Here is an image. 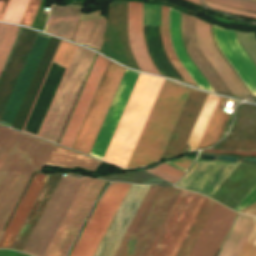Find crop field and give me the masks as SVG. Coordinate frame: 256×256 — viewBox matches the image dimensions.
<instances>
[{
  "instance_id": "obj_1",
  "label": "crop field",
  "mask_w": 256,
  "mask_h": 256,
  "mask_svg": "<svg viewBox=\"0 0 256 256\" xmlns=\"http://www.w3.org/2000/svg\"><path fill=\"white\" fill-rule=\"evenodd\" d=\"M54 145L0 126V235L35 170Z\"/></svg>"
},
{
  "instance_id": "obj_2",
  "label": "crop field",
  "mask_w": 256,
  "mask_h": 256,
  "mask_svg": "<svg viewBox=\"0 0 256 256\" xmlns=\"http://www.w3.org/2000/svg\"><path fill=\"white\" fill-rule=\"evenodd\" d=\"M189 91L164 82L126 168L147 166L160 159Z\"/></svg>"
},
{
  "instance_id": "obj_3",
  "label": "crop field",
  "mask_w": 256,
  "mask_h": 256,
  "mask_svg": "<svg viewBox=\"0 0 256 256\" xmlns=\"http://www.w3.org/2000/svg\"><path fill=\"white\" fill-rule=\"evenodd\" d=\"M164 79L140 74L102 160L126 167Z\"/></svg>"
},
{
  "instance_id": "obj_4",
  "label": "crop field",
  "mask_w": 256,
  "mask_h": 256,
  "mask_svg": "<svg viewBox=\"0 0 256 256\" xmlns=\"http://www.w3.org/2000/svg\"><path fill=\"white\" fill-rule=\"evenodd\" d=\"M180 192L150 186L114 256H146Z\"/></svg>"
},
{
  "instance_id": "obj_5",
  "label": "crop field",
  "mask_w": 256,
  "mask_h": 256,
  "mask_svg": "<svg viewBox=\"0 0 256 256\" xmlns=\"http://www.w3.org/2000/svg\"><path fill=\"white\" fill-rule=\"evenodd\" d=\"M94 55L77 47L39 138L57 142Z\"/></svg>"
},
{
  "instance_id": "obj_6",
  "label": "crop field",
  "mask_w": 256,
  "mask_h": 256,
  "mask_svg": "<svg viewBox=\"0 0 256 256\" xmlns=\"http://www.w3.org/2000/svg\"><path fill=\"white\" fill-rule=\"evenodd\" d=\"M204 200L182 190L147 256H175Z\"/></svg>"
},
{
  "instance_id": "obj_7",
  "label": "crop field",
  "mask_w": 256,
  "mask_h": 256,
  "mask_svg": "<svg viewBox=\"0 0 256 256\" xmlns=\"http://www.w3.org/2000/svg\"><path fill=\"white\" fill-rule=\"evenodd\" d=\"M125 70L109 62L73 149L89 154Z\"/></svg>"
},
{
  "instance_id": "obj_8",
  "label": "crop field",
  "mask_w": 256,
  "mask_h": 256,
  "mask_svg": "<svg viewBox=\"0 0 256 256\" xmlns=\"http://www.w3.org/2000/svg\"><path fill=\"white\" fill-rule=\"evenodd\" d=\"M104 182L84 179L44 256H65Z\"/></svg>"
},
{
  "instance_id": "obj_9",
  "label": "crop field",
  "mask_w": 256,
  "mask_h": 256,
  "mask_svg": "<svg viewBox=\"0 0 256 256\" xmlns=\"http://www.w3.org/2000/svg\"><path fill=\"white\" fill-rule=\"evenodd\" d=\"M130 185L113 183L100 198L70 256H93Z\"/></svg>"
},
{
  "instance_id": "obj_10",
  "label": "crop field",
  "mask_w": 256,
  "mask_h": 256,
  "mask_svg": "<svg viewBox=\"0 0 256 256\" xmlns=\"http://www.w3.org/2000/svg\"><path fill=\"white\" fill-rule=\"evenodd\" d=\"M238 164L197 160L192 170L177 185L178 187L211 196L222 185ZM256 203V186L240 202L234 211H242Z\"/></svg>"
},
{
  "instance_id": "obj_11",
  "label": "crop field",
  "mask_w": 256,
  "mask_h": 256,
  "mask_svg": "<svg viewBox=\"0 0 256 256\" xmlns=\"http://www.w3.org/2000/svg\"><path fill=\"white\" fill-rule=\"evenodd\" d=\"M114 3L109 4L108 23L101 53L139 70L132 56L127 35V3Z\"/></svg>"
},
{
  "instance_id": "obj_12",
  "label": "crop field",
  "mask_w": 256,
  "mask_h": 256,
  "mask_svg": "<svg viewBox=\"0 0 256 256\" xmlns=\"http://www.w3.org/2000/svg\"><path fill=\"white\" fill-rule=\"evenodd\" d=\"M148 188L131 185L94 256H113Z\"/></svg>"
},
{
  "instance_id": "obj_13",
  "label": "crop field",
  "mask_w": 256,
  "mask_h": 256,
  "mask_svg": "<svg viewBox=\"0 0 256 256\" xmlns=\"http://www.w3.org/2000/svg\"><path fill=\"white\" fill-rule=\"evenodd\" d=\"M138 73L126 70L96 141L90 152V156L102 159L132 88L138 77Z\"/></svg>"
},
{
  "instance_id": "obj_14",
  "label": "crop field",
  "mask_w": 256,
  "mask_h": 256,
  "mask_svg": "<svg viewBox=\"0 0 256 256\" xmlns=\"http://www.w3.org/2000/svg\"><path fill=\"white\" fill-rule=\"evenodd\" d=\"M213 31L216 44L254 97H256V66L239 45L236 39L235 31L223 30L214 25Z\"/></svg>"
},
{
  "instance_id": "obj_15",
  "label": "crop field",
  "mask_w": 256,
  "mask_h": 256,
  "mask_svg": "<svg viewBox=\"0 0 256 256\" xmlns=\"http://www.w3.org/2000/svg\"><path fill=\"white\" fill-rule=\"evenodd\" d=\"M108 62V60L97 56L66 130L59 143L60 145L70 148L72 147Z\"/></svg>"
},
{
  "instance_id": "obj_16",
  "label": "crop field",
  "mask_w": 256,
  "mask_h": 256,
  "mask_svg": "<svg viewBox=\"0 0 256 256\" xmlns=\"http://www.w3.org/2000/svg\"><path fill=\"white\" fill-rule=\"evenodd\" d=\"M207 95L191 90L161 159L182 153Z\"/></svg>"
},
{
  "instance_id": "obj_17",
  "label": "crop field",
  "mask_w": 256,
  "mask_h": 256,
  "mask_svg": "<svg viewBox=\"0 0 256 256\" xmlns=\"http://www.w3.org/2000/svg\"><path fill=\"white\" fill-rule=\"evenodd\" d=\"M198 20L195 19V31L199 46L204 56L207 58L234 96H250L249 92L217 51L212 40L210 25Z\"/></svg>"
},
{
  "instance_id": "obj_18",
  "label": "crop field",
  "mask_w": 256,
  "mask_h": 256,
  "mask_svg": "<svg viewBox=\"0 0 256 256\" xmlns=\"http://www.w3.org/2000/svg\"><path fill=\"white\" fill-rule=\"evenodd\" d=\"M236 214L217 203L190 256H215Z\"/></svg>"
},
{
  "instance_id": "obj_19",
  "label": "crop field",
  "mask_w": 256,
  "mask_h": 256,
  "mask_svg": "<svg viewBox=\"0 0 256 256\" xmlns=\"http://www.w3.org/2000/svg\"><path fill=\"white\" fill-rule=\"evenodd\" d=\"M212 148L230 150H256V107L241 105L230 134Z\"/></svg>"
},
{
  "instance_id": "obj_20",
  "label": "crop field",
  "mask_w": 256,
  "mask_h": 256,
  "mask_svg": "<svg viewBox=\"0 0 256 256\" xmlns=\"http://www.w3.org/2000/svg\"><path fill=\"white\" fill-rule=\"evenodd\" d=\"M49 38L38 34L0 123L11 126Z\"/></svg>"
},
{
  "instance_id": "obj_21",
  "label": "crop field",
  "mask_w": 256,
  "mask_h": 256,
  "mask_svg": "<svg viewBox=\"0 0 256 256\" xmlns=\"http://www.w3.org/2000/svg\"><path fill=\"white\" fill-rule=\"evenodd\" d=\"M193 18L182 13V36L185 48L189 56L191 57V59L194 61V63L197 65V67L200 69V71L203 73V75L206 77V79L209 81V83L212 85L216 92L232 95V93L229 91V89L226 87V85L223 83V81L220 79V77L217 75V73L214 71V69L202 55L194 31Z\"/></svg>"
},
{
  "instance_id": "obj_22",
  "label": "crop field",
  "mask_w": 256,
  "mask_h": 256,
  "mask_svg": "<svg viewBox=\"0 0 256 256\" xmlns=\"http://www.w3.org/2000/svg\"><path fill=\"white\" fill-rule=\"evenodd\" d=\"M128 35L133 55L142 71L160 75L152 64L142 34V4L128 3Z\"/></svg>"
},
{
  "instance_id": "obj_23",
  "label": "crop field",
  "mask_w": 256,
  "mask_h": 256,
  "mask_svg": "<svg viewBox=\"0 0 256 256\" xmlns=\"http://www.w3.org/2000/svg\"><path fill=\"white\" fill-rule=\"evenodd\" d=\"M46 175L36 172L30 186L28 187L22 201L20 202L13 218L11 219L5 233L0 240V248H10L22 223L24 222L30 208L39 194ZM17 237V236H16Z\"/></svg>"
},
{
  "instance_id": "obj_24",
  "label": "crop field",
  "mask_w": 256,
  "mask_h": 256,
  "mask_svg": "<svg viewBox=\"0 0 256 256\" xmlns=\"http://www.w3.org/2000/svg\"><path fill=\"white\" fill-rule=\"evenodd\" d=\"M81 7L53 6L50 10L45 32L71 41L81 12Z\"/></svg>"
},
{
  "instance_id": "obj_25",
  "label": "crop field",
  "mask_w": 256,
  "mask_h": 256,
  "mask_svg": "<svg viewBox=\"0 0 256 256\" xmlns=\"http://www.w3.org/2000/svg\"><path fill=\"white\" fill-rule=\"evenodd\" d=\"M170 33L176 55L194 81L200 89L214 92L188 56L181 38L180 12L172 8H170Z\"/></svg>"
},
{
  "instance_id": "obj_26",
  "label": "crop field",
  "mask_w": 256,
  "mask_h": 256,
  "mask_svg": "<svg viewBox=\"0 0 256 256\" xmlns=\"http://www.w3.org/2000/svg\"><path fill=\"white\" fill-rule=\"evenodd\" d=\"M255 222L256 217L239 214L218 256H238Z\"/></svg>"
},
{
  "instance_id": "obj_27",
  "label": "crop field",
  "mask_w": 256,
  "mask_h": 256,
  "mask_svg": "<svg viewBox=\"0 0 256 256\" xmlns=\"http://www.w3.org/2000/svg\"><path fill=\"white\" fill-rule=\"evenodd\" d=\"M100 161L55 145L46 165L74 169L75 166L93 171Z\"/></svg>"
},
{
  "instance_id": "obj_28",
  "label": "crop field",
  "mask_w": 256,
  "mask_h": 256,
  "mask_svg": "<svg viewBox=\"0 0 256 256\" xmlns=\"http://www.w3.org/2000/svg\"><path fill=\"white\" fill-rule=\"evenodd\" d=\"M106 20H89L78 23L74 42L90 45L99 50Z\"/></svg>"
},
{
  "instance_id": "obj_29",
  "label": "crop field",
  "mask_w": 256,
  "mask_h": 256,
  "mask_svg": "<svg viewBox=\"0 0 256 256\" xmlns=\"http://www.w3.org/2000/svg\"><path fill=\"white\" fill-rule=\"evenodd\" d=\"M206 200H207V198H206ZM206 200H205V202H206ZM205 202H204V204H205ZM204 204H203V206H204ZM215 204H216V202H214V201L208 199L207 202H206V204H205V206H204V208H203V206H202L203 210H202V208H201L202 212H201V210H200L199 213H198V215L200 214V212H201V214L199 215V217H198V215H197L198 219H197V217H196L197 221H196V219H195L196 223H195V221H194L195 225H194V223H193L194 227H193V225H192L191 228H190V230L192 229V227H193V229L191 230V232H190V230H189L190 234H189V232H188L189 236H188V234H187L188 238H187V236H186L187 240H186V238L184 239L182 245L184 244L185 240H186V242H185V244H184L183 247H182V245H181L182 249H181V247H180L181 251H180V249H179L180 253H179V251H178L177 254H176V256L178 255V253H179L178 256H188V255H189V253H190V251L192 250V248H193V246H194V244H195V242H196V240H197L199 234L201 233V231H202V229H203V227H204V225H205L207 219L209 218V216H210V214H211V212H212V210H213Z\"/></svg>"
},
{
  "instance_id": "obj_30",
  "label": "crop field",
  "mask_w": 256,
  "mask_h": 256,
  "mask_svg": "<svg viewBox=\"0 0 256 256\" xmlns=\"http://www.w3.org/2000/svg\"><path fill=\"white\" fill-rule=\"evenodd\" d=\"M161 33L165 51L172 64L175 66V68L182 75L186 82L196 84L190 77V75L187 73V71L184 69V67L181 65V63L178 61L173 50L169 34V8L166 6H161Z\"/></svg>"
},
{
  "instance_id": "obj_31",
  "label": "crop field",
  "mask_w": 256,
  "mask_h": 256,
  "mask_svg": "<svg viewBox=\"0 0 256 256\" xmlns=\"http://www.w3.org/2000/svg\"><path fill=\"white\" fill-rule=\"evenodd\" d=\"M224 99L225 98H223V97L220 98L199 149L209 147V146L213 145L214 143H216L218 140H220V138L222 136V132L226 126V123H227L229 117H230L219 110Z\"/></svg>"
},
{
  "instance_id": "obj_32",
  "label": "crop field",
  "mask_w": 256,
  "mask_h": 256,
  "mask_svg": "<svg viewBox=\"0 0 256 256\" xmlns=\"http://www.w3.org/2000/svg\"><path fill=\"white\" fill-rule=\"evenodd\" d=\"M18 27L0 24V73L10 53L17 36H14Z\"/></svg>"
},
{
  "instance_id": "obj_33",
  "label": "crop field",
  "mask_w": 256,
  "mask_h": 256,
  "mask_svg": "<svg viewBox=\"0 0 256 256\" xmlns=\"http://www.w3.org/2000/svg\"><path fill=\"white\" fill-rule=\"evenodd\" d=\"M76 45H73V44H71V43H68V42H65V41H61V43H60V45H59V47H58V49H57V51H56V53H55V55H54V57H53V60H52V62H51V65H52V63H53V61H55V62H58V63H61V64H63V65H66V66H68L69 65V63H70V60H71V58H72V56H73V54H74V51H75V49H76ZM51 65H50V67H51ZM49 70H50V68H49ZM49 70H48V72H49ZM48 72H47V74H48ZM47 74H46V76H47ZM45 79H46V77H45ZM45 79H44V81H45ZM44 81H43V83H44ZM42 86H43V84H42ZM42 86H41V88H42ZM41 88H40V90H41ZM39 93H40V91H39ZM39 93H38V95H39ZM38 95H37V97H38ZM56 95V94H55ZM37 97H36V99H37ZM54 100V99H53ZM35 102H36V100H35ZM35 102H34V104H35ZM53 102V101H52ZM34 104H33V106H34ZM52 104V103H51ZM51 106V105H50ZM32 109H33V107H32ZM32 109H31V111H32ZM50 109V108H49ZM31 111H30V113H31ZM49 111V110H48ZM48 113V112H47ZM29 116H30V114H29ZM29 116H28V118H29ZM46 116H47V114H46ZM46 118V117H45ZM28 120V119H27ZM45 120V119H44ZM27 122V121H26ZM43 123H44V121H43ZM43 123H42V125H43ZM25 125H26V123H25ZM42 125H41V127H42ZM25 127V126H24ZM24 129V128H23ZM41 129V128H40ZM23 131V130H22ZM25 132V131H24ZM39 132H40V130H39ZM39 132H38V134H39ZM27 133V132H26ZM30 134V133H29ZM38 134H37V136H38ZM31 135H33V134H31Z\"/></svg>"
},
{
  "instance_id": "obj_34",
  "label": "crop field",
  "mask_w": 256,
  "mask_h": 256,
  "mask_svg": "<svg viewBox=\"0 0 256 256\" xmlns=\"http://www.w3.org/2000/svg\"><path fill=\"white\" fill-rule=\"evenodd\" d=\"M148 171L172 184L176 183L178 179L182 176L183 172L162 163L152 169L145 170Z\"/></svg>"
},
{
  "instance_id": "obj_35",
  "label": "crop field",
  "mask_w": 256,
  "mask_h": 256,
  "mask_svg": "<svg viewBox=\"0 0 256 256\" xmlns=\"http://www.w3.org/2000/svg\"><path fill=\"white\" fill-rule=\"evenodd\" d=\"M214 2L246 11L256 12V2L245 1V0H205Z\"/></svg>"
},
{
  "instance_id": "obj_36",
  "label": "crop field",
  "mask_w": 256,
  "mask_h": 256,
  "mask_svg": "<svg viewBox=\"0 0 256 256\" xmlns=\"http://www.w3.org/2000/svg\"><path fill=\"white\" fill-rule=\"evenodd\" d=\"M41 0H29L26 10L19 24L31 26Z\"/></svg>"
},
{
  "instance_id": "obj_37",
  "label": "crop field",
  "mask_w": 256,
  "mask_h": 256,
  "mask_svg": "<svg viewBox=\"0 0 256 256\" xmlns=\"http://www.w3.org/2000/svg\"><path fill=\"white\" fill-rule=\"evenodd\" d=\"M239 256H256V224L250 233Z\"/></svg>"
},
{
  "instance_id": "obj_38",
  "label": "crop field",
  "mask_w": 256,
  "mask_h": 256,
  "mask_svg": "<svg viewBox=\"0 0 256 256\" xmlns=\"http://www.w3.org/2000/svg\"><path fill=\"white\" fill-rule=\"evenodd\" d=\"M204 4H206L207 6H209L211 8H214L216 10H220V11H224V12H228V13H232V14H236V15L256 18V14H254V13H250V12H246V11H241V10H236V9L220 6V5L209 3V2H205V1H204Z\"/></svg>"
},
{
  "instance_id": "obj_39",
  "label": "crop field",
  "mask_w": 256,
  "mask_h": 256,
  "mask_svg": "<svg viewBox=\"0 0 256 256\" xmlns=\"http://www.w3.org/2000/svg\"><path fill=\"white\" fill-rule=\"evenodd\" d=\"M201 152H208V153H228V154H237V155H245V156H253L256 155V151L253 152H243V151H219V150H213L208 149Z\"/></svg>"
},
{
  "instance_id": "obj_40",
  "label": "crop field",
  "mask_w": 256,
  "mask_h": 256,
  "mask_svg": "<svg viewBox=\"0 0 256 256\" xmlns=\"http://www.w3.org/2000/svg\"><path fill=\"white\" fill-rule=\"evenodd\" d=\"M172 163H174V164H177V165H179V166H182V167H184V168H186V169H188V167L190 166V164H191V162H189V161H187V160H185V159H183V158H180V159H178V160H176V161H171ZM167 164H169V165H171V166H173V167H175V168H177V169H179V170H181V171H183V172H185L186 171V169H184V168H182V167H179V166H177V165H174V164H172V163H170V162H166Z\"/></svg>"
},
{
  "instance_id": "obj_41",
  "label": "crop field",
  "mask_w": 256,
  "mask_h": 256,
  "mask_svg": "<svg viewBox=\"0 0 256 256\" xmlns=\"http://www.w3.org/2000/svg\"><path fill=\"white\" fill-rule=\"evenodd\" d=\"M10 0H0V21L2 20L4 13L7 9Z\"/></svg>"
},
{
  "instance_id": "obj_42",
  "label": "crop field",
  "mask_w": 256,
  "mask_h": 256,
  "mask_svg": "<svg viewBox=\"0 0 256 256\" xmlns=\"http://www.w3.org/2000/svg\"><path fill=\"white\" fill-rule=\"evenodd\" d=\"M241 213L250 214V215H256V204H254L253 206L247 208L246 210H244Z\"/></svg>"
},
{
  "instance_id": "obj_43",
  "label": "crop field",
  "mask_w": 256,
  "mask_h": 256,
  "mask_svg": "<svg viewBox=\"0 0 256 256\" xmlns=\"http://www.w3.org/2000/svg\"><path fill=\"white\" fill-rule=\"evenodd\" d=\"M186 1H189V2H192V3H194V4H197V5L202 6V4H201V1H200V0H186ZM202 7H203V6H202Z\"/></svg>"
},
{
  "instance_id": "obj_44",
  "label": "crop field",
  "mask_w": 256,
  "mask_h": 256,
  "mask_svg": "<svg viewBox=\"0 0 256 256\" xmlns=\"http://www.w3.org/2000/svg\"><path fill=\"white\" fill-rule=\"evenodd\" d=\"M158 70V69H157ZM160 73V72H159ZM161 74V73H160ZM162 76V75H161ZM184 83V82H183Z\"/></svg>"
},
{
  "instance_id": "obj_45",
  "label": "crop field",
  "mask_w": 256,
  "mask_h": 256,
  "mask_svg": "<svg viewBox=\"0 0 256 256\" xmlns=\"http://www.w3.org/2000/svg\"><path fill=\"white\" fill-rule=\"evenodd\" d=\"M251 1H256V0H251Z\"/></svg>"
}]
</instances>
